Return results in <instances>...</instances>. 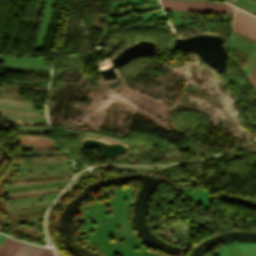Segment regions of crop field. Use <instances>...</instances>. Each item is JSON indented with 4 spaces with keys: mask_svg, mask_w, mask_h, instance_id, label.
Instances as JSON below:
<instances>
[{
    "mask_svg": "<svg viewBox=\"0 0 256 256\" xmlns=\"http://www.w3.org/2000/svg\"><path fill=\"white\" fill-rule=\"evenodd\" d=\"M164 9L233 14L232 6L220 3L159 0Z\"/></svg>",
    "mask_w": 256,
    "mask_h": 256,
    "instance_id": "crop-field-1",
    "label": "crop field"
},
{
    "mask_svg": "<svg viewBox=\"0 0 256 256\" xmlns=\"http://www.w3.org/2000/svg\"><path fill=\"white\" fill-rule=\"evenodd\" d=\"M233 29L256 40V17L236 9Z\"/></svg>",
    "mask_w": 256,
    "mask_h": 256,
    "instance_id": "crop-field-2",
    "label": "crop field"
},
{
    "mask_svg": "<svg viewBox=\"0 0 256 256\" xmlns=\"http://www.w3.org/2000/svg\"><path fill=\"white\" fill-rule=\"evenodd\" d=\"M23 242L11 240L6 237L0 245V256H13Z\"/></svg>",
    "mask_w": 256,
    "mask_h": 256,
    "instance_id": "crop-field-3",
    "label": "crop field"
},
{
    "mask_svg": "<svg viewBox=\"0 0 256 256\" xmlns=\"http://www.w3.org/2000/svg\"><path fill=\"white\" fill-rule=\"evenodd\" d=\"M42 250V247L23 243L14 256H38Z\"/></svg>",
    "mask_w": 256,
    "mask_h": 256,
    "instance_id": "crop-field-4",
    "label": "crop field"
},
{
    "mask_svg": "<svg viewBox=\"0 0 256 256\" xmlns=\"http://www.w3.org/2000/svg\"><path fill=\"white\" fill-rule=\"evenodd\" d=\"M256 65V64H255ZM249 81L251 82V84L254 86V88H255V86H256V66H255V68L253 69V71H252V73L250 74V76H249Z\"/></svg>",
    "mask_w": 256,
    "mask_h": 256,
    "instance_id": "crop-field-5",
    "label": "crop field"
},
{
    "mask_svg": "<svg viewBox=\"0 0 256 256\" xmlns=\"http://www.w3.org/2000/svg\"><path fill=\"white\" fill-rule=\"evenodd\" d=\"M22 143H42V144H56L54 141H24Z\"/></svg>",
    "mask_w": 256,
    "mask_h": 256,
    "instance_id": "crop-field-6",
    "label": "crop field"
},
{
    "mask_svg": "<svg viewBox=\"0 0 256 256\" xmlns=\"http://www.w3.org/2000/svg\"><path fill=\"white\" fill-rule=\"evenodd\" d=\"M49 252V249H44V251L41 253L40 256H46V254Z\"/></svg>",
    "mask_w": 256,
    "mask_h": 256,
    "instance_id": "crop-field-7",
    "label": "crop field"
},
{
    "mask_svg": "<svg viewBox=\"0 0 256 256\" xmlns=\"http://www.w3.org/2000/svg\"><path fill=\"white\" fill-rule=\"evenodd\" d=\"M6 236L2 235L0 236V244L2 243V241L5 239Z\"/></svg>",
    "mask_w": 256,
    "mask_h": 256,
    "instance_id": "crop-field-8",
    "label": "crop field"
},
{
    "mask_svg": "<svg viewBox=\"0 0 256 256\" xmlns=\"http://www.w3.org/2000/svg\"><path fill=\"white\" fill-rule=\"evenodd\" d=\"M47 256H54V255H53L52 252L50 251V253H49Z\"/></svg>",
    "mask_w": 256,
    "mask_h": 256,
    "instance_id": "crop-field-9",
    "label": "crop field"
},
{
    "mask_svg": "<svg viewBox=\"0 0 256 256\" xmlns=\"http://www.w3.org/2000/svg\"><path fill=\"white\" fill-rule=\"evenodd\" d=\"M234 1H236V0H234Z\"/></svg>",
    "mask_w": 256,
    "mask_h": 256,
    "instance_id": "crop-field-10",
    "label": "crop field"
}]
</instances>
